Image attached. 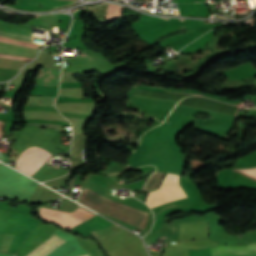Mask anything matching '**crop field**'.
I'll return each mask as SVG.
<instances>
[{
    "label": "crop field",
    "mask_w": 256,
    "mask_h": 256,
    "mask_svg": "<svg viewBox=\"0 0 256 256\" xmlns=\"http://www.w3.org/2000/svg\"><path fill=\"white\" fill-rule=\"evenodd\" d=\"M79 201L109 216L132 224L141 229L147 221V212L105 198L89 189L82 192Z\"/></svg>",
    "instance_id": "1"
},
{
    "label": "crop field",
    "mask_w": 256,
    "mask_h": 256,
    "mask_svg": "<svg viewBox=\"0 0 256 256\" xmlns=\"http://www.w3.org/2000/svg\"><path fill=\"white\" fill-rule=\"evenodd\" d=\"M97 214L80 207L72 213L61 210L41 208L40 216L46 221H52L65 229H71L73 226L95 216Z\"/></svg>",
    "instance_id": "2"
},
{
    "label": "crop field",
    "mask_w": 256,
    "mask_h": 256,
    "mask_svg": "<svg viewBox=\"0 0 256 256\" xmlns=\"http://www.w3.org/2000/svg\"><path fill=\"white\" fill-rule=\"evenodd\" d=\"M50 157V153L39 147L28 148L16 160L15 168L32 176Z\"/></svg>",
    "instance_id": "3"
},
{
    "label": "crop field",
    "mask_w": 256,
    "mask_h": 256,
    "mask_svg": "<svg viewBox=\"0 0 256 256\" xmlns=\"http://www.w3.org/2000/svg\"><path fill=\"white\" fill-rule=\"evenodd\" d=\"M212 256L256 255V243L247 245H218L211 248Z\"/></svg>",
    "instance_id": "4"
},
{
    "label": "crop field",
    "mask_w": 256,
    "mask_h": 256,
    "mask_svg": "<svg viewBox=\"0 0 256 256\" xmlns=\"http://www.w3.org/2000/svg\"><path fill=\"white\" fill-rule=\"evenodd\" d=\"M66 240L57 236L53 235L33 251H31L27 256H46L63 244Z\"/></svg>",
    "instance_id": "5"
},
{
    "label": "crop field",
    "mask_w": 256,
    "mask_h": 256,
    "mask_svg": "<svg viewBox=\"0 0 256 256\" xmlns=\"http://www.w3.org/2000/svg\"><path fill=\"white\" fill-rule=\"evenodd\" d=\"M71 3L72 2H66L61 0H15V4L47 8H55Z\"/></svg>",
    "instance_id": "6"
},
{
    "label": "crop field",
    "mask_w": 256,
    "mask_h": 256,
    "mask_svg": "<svg viewBox=\"0 0 256 256\" xmlns=\"http://www.w3.org/2000/svg\"><path fill=\"white\" fill-rule=\"evenodd\" d=\"M130 168L131 167H129L126 164H120L118 162L111 161L110 165L108 166V168L105 172L108 175H116V174H120L124 171H127Z\"/></svg>",
    "instance_id": "7"
},
{
    "label": "crop field",
    "mask_w": 256,
    "mask_h": 256,
    "mask_svg": "<svg viewBox=\"0 0 256 256\" xmlns=\"http://www.w3.org/2000/svg\"><path fill=\"white\" fill-rule=\"evenodd\" d=\"M163 175H164L163 172L155 171L153 173V175L149 178L144 189H147V190L156 189L158 187Z\"/></svg>",
    "instance_id": "8"
},
{
    "label": "crop field",
    "mask_w": 256,
    "mask_h": 256,
    "mask_svg": "<svg viewBox=\"0 0 256 256\" xmlns=\"http://www.w3.org/2000/svg\"><path fill=\"white\" fill-rule=\"evenodd\" d=\"M240 174H243L251 179L256 180V168L254 169H238V170H234Z\"/></svg>",
    "instance_id": "9"
},
{
    "label": "crop field",
    "mask_w": 256,
    "mask_h": 256,
    "mask_svg": "<svg viewBox=\"0 0 256 256\" xmlns=\"http://www.w3.org/2000/svg\"><path fill=\"white\" fill-rule=\"evenodd\" d=\"M0 57H3V58H10V59H16V60H32V59H33V58H26V57H19V56L7 55V54H0Z\"/></svg>",
    "instance_id": "10"
},
{
    "label": "crop field",
    "mask_w": 256,
    "mask_h": 256,
    "mask_svg": "<svg viewBox=\"0 0 256 256\" xmlns=\"http://www.w3.org/2000/svg\"><path fill=\"white\" fill-rule=\"evenodd\" d=\"M11 44L26 46V47H30V48H35L36 45H37V44H32V43L23 42V41L14 42V43H11Z\"/></svg>",
    "instance_id": "11"
},
{
    "label": "crop field",
    "mask_w": 256,
    "mask_h": 256,
    "mask_svg": "<svg viewBox=\"0 0 256 256\" xmlns=\"http://www.w3.org/2000/svg\"><path fill=\"white\" fill-rule=\"evenodd\" d=\"M0 41H1V42L10 43V42H13V41H16V40H11V39H6V38L0 37Z\"/></svg>",
    "instance_id": "12"
},
{
    "label": "crop field",
    "mask_w": 256,
    "mask_h": 256,
    "mask_svg": "<svg viewBox=\"0 0 256 256\" xmlns=\"http://www.w3.org/2000/svg\"><path fill=\"white\" fill-rule=\"evenodd\" d=\"M1 123H2V122H0V138H1Z\"/></svg>",
    "instance_id": "13"
},
{
    "label": "crop field",
    "mask_w": 256,
    "mask_h": 256,
    "mask_svg": "<svg viewBox=\"0 0 256 256\" xmlns=\"http://www.w3.org/2000/svg\"><path fill=\"white\" fill-rule=\"evenodd\" d=\"M82 256H90L89 254H86V255H82Z\"/></svg>",
    "instance_id": "14"
}]
</instances>
